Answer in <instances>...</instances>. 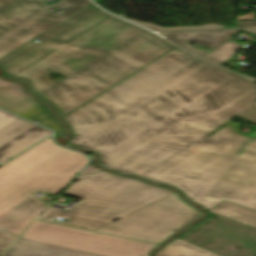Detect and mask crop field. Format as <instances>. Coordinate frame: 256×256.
Instances as JSON below:
<instances>
[{
  "mask_svg": "<svg viewBox=\"0 0 256 256\" xmlns=\"http://www.w3.org/2000/svg\"><path fill=\"white\" fill-rule=\"evenodd\" d=\"M235 115L256 122V87L177 47L61 119L109 169L256 211V140L239 157L228 125L205 137Z\"/></svg>",
  "mask_w": 256,
  "mask_h": 256,
  "instance_id": "crop-field-1",
  "label": "crop field"
},
{
  "mask_svg": "<svg viewBox=\"0 0 256 256\" xmlns=\"http://www.w3.org/2000/svg\"><path fill=\"white\" fill-rule=\"evenodd\" d=\"M92 4L89 0H63L54 8L42 0H0V59L46 30Z\"/></svg>",
  "mask_w": 256,
  "mask_h": 256,
  "instance_id": "crop-field-5",
  "label": "crop field"
},
{
  "mask_svg": "<svg viewBox=\"0 0 256 256\" xmlns=\"http://www.w3.org/2000/svg\"><path fill=\"white\" fill-rule=\"evenodd\" d=\"M238 45L234 43L233 41L226 43L222 47L216 49L214 52L209 54L208 56L204 57L218 65L222 64L224 61H226L228 58H230L232 55H234V52L238 49Z\"/></svg>",
  "mask_w": 256,
  "mask_h": 256,
  "instance_id": "crop-field-16",
  "label": "crop field"
},
{
  "mask_svg": "<svg viewBox=\"0 0 256 256\" xmlns=\"http://www.w3.org/2000/svg\"><path fill=\"white\" fill-rule=\"evenodd\" d=\"M38 105L23 92L20 84L0 79V107L23 116Z\"/></svg>",
  "mask_w": 256,
  "mask_h": 256,
  "instance_id": "crop-field-11",
  "label": "crop field"
},
{
  "mask_svg": "<svg viewBox=\"0 0 256 256\" xmlns=\"http://www.w3.org/2000/svg\"><path fill=\"white\" fill-rule=\"evenodd\" d=\"M23 117L28 118L32 121L37 120L41 122L39 124L46 126L54 131H57L58 134L67 137L66 131L61 127V125L58 123L50 110L41 105Z\"/></svg>",
  "mask_w": 256,
  "mask_h": 256,
  "instance_id": "crop-field-15",
  "label": "crop field"
},
{
  "mask_svg": "<svg viewBox=\"0 0 256 256\" xmlns=\"http://www.w3.org/2000/svg\"><path fill=\"white\" fill-rule=\"evenodd\" d=\"M209 212L256 228V212L223 201Z\"/></svg>",
  "mask_w": 256,
  "mask_h": 256,
  "instance_id": "crop-field-13",
  "label": "crop field"
},
{
  "mask_svg": "<svg viewBox=\"0 0 256 256\" xmlns=\"http://www.w3.org/2000/svg\"><path fill=\"white\" fill-rule=\"evenodd\" d=\"M237 32L238 31L234 30H224L217 32L162 33L161 35L204 57L208 54L192 48L184 43L187 41H192L216 49L227 41L231 40V37Z\"/></svg>",
  "mask_w": 256,
  "mask_h": 256,
  "instance_id": "crop-field-10",
  "label": "crop field"
},
{
  "mask_svg": "<svg viewBox=\"0 0 256 256\" xmlns=\"http://www.w3.org/2000/svg\"><path fill=\"white\" fill-rule=\"evenodd\" d=\"M22 239L104 256H149L157 245L36 221Z\"/></svg>",
  "mask_w": 256,
  "mask_h": 256,
  "instance_id": "crop-field-7",
  "label": "crop field"
},
{
  "mask_svg": "<svg viewBox=\"0 0 256 256\" xmlns=\"http://www.w3.org/2000/svg\"><path fill=\"white\" fill-rule=\"evenodd\" d=\"M101 11L9 67L61 117L176 46ZM57 72V82L47 75ZM75 80H78L75 82Z\"/></svg>",
  "mask_w": 256,
  "mask_h": 256,
  "instance_id": "crop-field-2",
  "label": "crop field"
},
{
  "mask_svg": "<svg viewBox=\"0 0 256 256\" xmlns=\"http://www.w3.org/2000/svg\"><path fill=\"white\" fill-rule=\"evenodd\" d=\"M156 256H217L184 241L175 239Z\"/></svg>",
  "mask_w": 256,
  "mask_h": 256,
  "instance_id": "crop-field-14",
  "label": "crop field"
},
{
  "mask_svg": "<svg viewBox=\"0 0 256 256\" xmlns=\"http://www.w3.org/2000/svg\"><path fill=\"white\" fill-rule=\"evenodd\" d=\"M6 254V253H5ZM5 256H98L19 239Z\"/></svg>",
  "mask_w": 256,
  "mask_h": 256,
  "instance_id": "crop-field-12",
  "label": "crop field"
},
{
  "mask_svg": "<svg viewBox=\"0 0 256 256\" xmlns=\"http://www.w3.org/2000/svg\"><path fill=\"white\" fill-rule=\"evenodd\" d=\"M99 169L95 168L94 166L90 165L87 168H85L81 174H86V173H92V172H97Z\"/></svg>",
  "mask_w": 256,
  "mask_h": 256,
  "instance_id": "crop-field-20",
  "label": "crop field"
},
{
  "mask_svg": "<svg viewBox=\"0 0 256 256\" xmlns=\"http://www.w3.org/2000/svg\"><path fill=\"white\" fill-rule=\"evenodd\" d=\"M199 215L198 210L173 193L96 232L160 244Z\"/></svg>",
  "mask_w": 256,
  "mask_h": 256,
  "instance_id": "crop-field-6",
  "label": "crop field"
},
{
  "mask_svg": "<svg viewBox=\"0 0 256 256\" xmlns=\"http://www.w3.org/2000/svg\"><path fill=\"white\" fill-rule=\"evenodd\" d=\"M52 132L29 121L18 120L0 131V163L41 141Z\"/></svg>",
  "mask_w": 256,
  "mask_h": 256,
  "instance_id": "crop-field-8",
  "label": "crop field"
},
{
  "mask_svg": "<svg viewBox=\"0 0 256 256\" xmlns=\"http://www.w3.org/2000/svg\"><path fill=\"white\" fill-rule=\"evenodd\" d=\"M97 12L98 11L90 8H85L81 10L80 12L76 13L75 15L71 16L70 18L66 19L65 21L61 22L60 24L56 25L55 27L51 28L47 32L37 37L36 39L40 40L38 44L30 42L25 46L21 47L20 49L14 51L13 53L9 54L8 56L4 57L3 59H1L0 66L3 69L8 68L17 61L29 55L34 50L55 39L63 32L71 29L72 27L76 26L77 24L81 23L82 21H84L85 19L89 18Z\"/></svg>",
  "mask_w": 256,
  "mask_h": 256,
  "instance_id": "crop-field-9",
  "label": "crop field"
},
{
  "mask_svg": "<svg viewBox=\"0 0 256 256\" xmlns=\"http://www.w3.org/2000/svg\"><path fill=\"white\" fill-rule=\"evenodd\" d=\"M126 18V17H124ZM130 21H133L135 23H138L140 25H143L145 27H148L154 31H174V30H199V29H220V28H226L225 26L223 25H219V24H206V25H203V26H198V27H172V28H163V27H159V26H156L152 23H142V22H139V21H136V20H133V19H130V18H126Z\"/></svg>",
  "mask_w": 256,
  "mask_h": 256,
  "instance_id": "crop-field-17",
  "label": "crop field"
},
{
  "mask_svg": "<svg viewBox=\"0 0 256 256\" xmlns=\"http://www.w3.org/2000/svg\"><path fill=\"white\" fill-rule=\"evenodd\" d=\"M238 29L256 32V21L238 22Z\"/></svg>",
  "mask_w": 256,
  "mask_h": 256,
  "instance_id": "crop-field-19",
  "label": "crop field"
},
{
  "mask_svg": "<svg viewBox=\"0 0 256 256\" xmlns=\"http://www.w3.org/2000/svg\"><path fill=\"white\" fill-rule=\"evenodd\" d=\"M87 162L85 156L58 147L49 138L0 167V256L46 208L32 196L64 189Z\"/></svg>",
  "mask_w": 256,
  "mask_h": 256,
  "instance_id": "crop-field-3",
  "label": "crop field"
},
{
  "mask_svg": "<svg viewBox=\"0 0 256 256\" xmlns=\"http://www.w3.org/2000/svg\"><path fill=\"white\" fill-rule=\"evenodd\" d=\"M77 179L80 181L73 183L64 194L84 199L69 210L49 207L41 220L66 216L71 221L62 225L95 231L172 193L162 187L105 171Z\"/></svg>",
  "mask_w": 256,
  "mask_h": 256,
  "instance_id": "crop-field-4",
  "label": "crop field"
},
{
  "mask_svg": "<svg viewBox=\"0 0 256 256\" xmlns=\"http://www.w3.org/2000/svg\"><path fill=\"white\" fill-rule=\"evenodd\" d=\"M20 118L7 113L3 110H0V130L5 128L6 126L10 125L11 123L15 122L16 120H18Z\"/></svg>",
  "mask_w": 256,
  "mask_h": 256,
  "instance_id": "crop-field-18",
  "label": "crop field"
}]
</instances>
